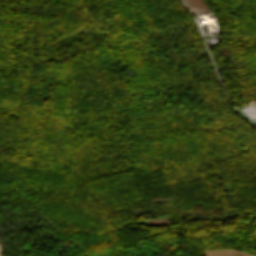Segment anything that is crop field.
<instances>
[{
  "label": "crop field",
  "instance_id": "crop-field-1",
  "mask_svg": "<svg viewBox=\"0 0 256 256\" xmlns=\"http://www.w3.org/2000/svg\"><path fill=\"white\" fill-rule=\"evenodd\" d=\"M206 256H250L247 253L235 249L205 250Z\"/></svg>",
  "mask_w": 256,
  "mask_h": 256
},
{
  "label": "crop field",
  "instance_id": "crop-field-2",
  "mask_svg": "<svg viewBox=\"0 0 256 256\" xmlns=\"http://www.w3.org/2000/svg\"><path fill=\"white\" fill-rule=\"evenodd\" d=\"M185 2L188 4L189 9L192 11L193 14L209 11L203 0H187Z\"/></svg>",
  "mask_w": 256,
  "mask_h": 256
}]
</instances>
